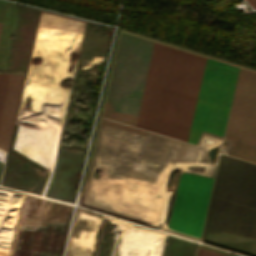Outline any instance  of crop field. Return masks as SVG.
I'll return each instance as SVG.
<instances>
[{"label":"crop field","mask_w":256,"mask_h":256,"mask_svg":"<svg viewBox=\"0 0 256 256\" xmlns=\"http://www.w3.org/2000/svg\"><path fill=\"white\" fill-rule=\"evenodd\" d=\"M200 55L153 44L139 117L110 112L102 116L183 138ZM239 68L201 58L184 141L196 144L202 130L223 136Z\"/></svg>","instance_id":"obj_1"},{"label":"crop field","mask_w":256,"mask_h":256,"mask_svg":"<svg viewBox=\"0 0 256 256\" xmlns=\"http://www.w3.org/2000/svg\"><path fill=\"white\" fill-rule=\"evenodd\" d=\"M207 232L256 239V164L220 153L202 239Z\"/></svg>","instance_id":"obj_2"},{"label":"crop field","mask_w":256,"mask_h":256,"mask_svg":"<svg viewBox=\"0 0 256 256\" xmlns=\"http://www.w3.org/2000/svg\"><path fill=\"white\" fill-rule=\"evenodd\" d=\"M213 180L183 173L180 178L170 228L200 238Z\"/></svg>","instance_id":"obj_3"},{"label":"crop field","mask_w":256,"mask_h":256,"mask_svg":"<svg viewBox=\"0 0 256 256\" xmlns=\"http://www.w3.org/2000/svg\"><path fill=\"white\" fill-rule=\"evenodd\" d=\"M225 137L256 153V73L240 70Z\"/></svg>","instance_id":"obj_4"},{"label":"crop field","mask_w":256,"mask_h":256,"mask_svg":"<svg viewBox=\"0 0 256 256\" xmlns=\"http://www.w3.org/2000/svg\"><path fill=\"white\" fill-rule=\"evenodd\" d=\"M24 76L10 75L0 115V147L7 150Z\"/></svg>","instance_id":"obj_5"},{"label":"crop field","mask_w":256,"mask_h":256,"mask_svg":"<svg viewBox=\"0 0 256 256\" xmlns=\"http://www.w3.org/2000/svg\"><path fill=\"white\" fill-rule=\"evenodd\" d=\"M101 124H106V125H110V126H115V127L123 128V129L129 130V131L141 134V135L145 134V131L140 130L138 128L127 126V125H123V124L116 123V122H113V121H110V120H107V119H103V118H102Z\"/></svg>","instance_id":"obj_6"},{"label":"crop field","mask_w":256,"mask_h":256,"mask_svg":"<svg viewBox=\"0 0 256 256\" xmlns=\"http://www.w3.org/2000/svg\"><path fill=\"white\" fill-rule=\"evenodd\" d=\"M8 77L9 75H0V111L3 103Z\"/></svg>","instance_id":"obj_7"},{"label":"crop field","mask_w":256,"mask_h":256,"mask_svg":"<svg viewBox=\"0 0 256 256\" xmlns=\"http://www.w3.org/2000/svg\"><path fill=\"white\" fill-rule=\"evenodd\" d=\"M219 255H220L219 252H215V251L205 249V248H202V247H201L200 253H199V256H219ZM220 256H227V255H224V254L221 253Z\"/></svg>","instance_id":"obj_8"},{"label":"crop field","mask_w":256,"mask_h":256,"mask_svg":"<svg viewBox=\"0 0 256 256\" xmlns=\"http://www.w3.org/2000/svg\"><path fill=\"white\" fill-rule=\"evenodd\" d=\"M254 9H256V0H246Z\"/></svg>","instance_id":"obj_9"},{"label":"crop field","mask_w":256,"mask_h":256,"mask_svg":"<svg viewBox=\"0 0 256 256\" xmlns=\"http://www.w3.org/2000/svg\"><path fill=\"white\" fill-rule=\"evenodd\" d=\"M1 25H2V23H0V29H1Z\"/></svg>","instance_id":"obj_10"}]
</instances>
